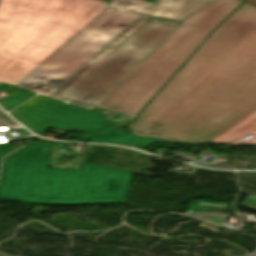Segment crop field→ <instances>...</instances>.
Returning a JSON list of instances; mask_svg holds the SVG:
<instances>
[{"instance_id": "crop-field-16", "label": "crop field", "mask_w": 256, "mask_h": 256, "mask_svg": "<svg viewBox=\"0 0 256 256\" xmlns=\"http://www.w3.org/2000/svg\"><path fill=\"white\" fill-rule=\"evenodd\" d=\"M3 113L1 110H0V114Z\"/></svg>"}, {"instance_id": "crop-field-15", "label": "crop field", "mask_w": 256, "mask_h": 256, "mask_svg": "<svg viewBox=\"0 0 256 256\" xmlns=\"http://www.w3.org/2000/svg\"><path fill=\"white\" fill-rule=\"evenodd\" d=\"M11 150V148L8 146V144H4V145H0V162H1V159L2 157L9 153Z\"/></svg>"}, {"instance_id": "crop-field-11", "label": "crop field", "mask_w": 256, "mask_h": 256, "mask_svg": "<svg viewBox=\"0 0 256 256\" xmlns=\"http://www.w3.org/2000/svg\"><path fill=\"white\" fill-rule=\"evenodd\" d=\"M120 131L121 130L112 127L92 135H85V138L91 142L120 143L131 146H135L142 139L140 136L120 133Z\"/></svg>"}, {"instance_id": "crop-field-7", "label": "crop field", "mask_w": 256, "mask_h": 256, "mask_svg": "<svg viewBox=\"0 0 256 256\" xmlns=\"http://www.w3.org/2000/svg\"><path fill=\"white\" fill-rule=\"evenodd\" d=\"M11 114L39 135L47 126L91 133L111 123L105 115L45 96H36Z\"/></svg>"}, {"instance_id": "crop-field-3", "label": "crop field", "mask_w": 256, "mask_h": 256, "mask_svg": "<svg viewBox=\"0 0 256 256\" xmlns=\"http://www.w3.org/2000/svg\"><path fill=\"white\" fill-rule=\"evenodd\" d=\"M50 148L29 143L5 158L0 199L56 205L127 202L134 173L84 162L80 170L48 168Z\"/></svg>"}, {"instance_id": "crop-field-8", "label": "crop field", "mask_w": 256, "mask_h": 256, "mask_svg": "<svg viewBox=\"0 0 256 256\" xmlns=\"http://www.w3.org/2000/svg\"><path fill=\"white\" fill-rule=\"evenodd\" d=\"M148 17L140 16L133 24L126 28L120 35H118L109 45H107L100 53L92 58L86 65H84L77 73H75L69 80L60 86L50 96L60 99L66 94L77 82H79L88 72L111 54L120 44H122L136 29L141 26Z\"/></svg>"}, {"instance_id": "crop-field-1", "label": "crop field", "mask_w": 256, "mask_h": 256, "mask_svg": "<svg viewBox=\"0 0 256 256\" xmlns=\"http://www.w3.org/2000/svg\"><path fill=\"white\" fill-rule=\"evenodd\" d=\"M255 110L256 8L244 3L129 126L135 135L208 143Z\"/></svg>"}, {"instance_id": "crop-field-2", "label": "crop field", "mask_w": 256, "mask_h": 256, "mask_svg": "<svg viewBox=\"0 0 256 256\" xmlns=\"http://www.w3.org/2000/svg\"><path fill=\"white\" fill-rule=\"evenodd\" d=\"M107 5L99 0H1L0 84L17 85Z\"/></svg>"}, {"instance_id": "crop-field-6", "label": "crop field", "mask_w": 256, "mask_h": 256, "mask_svg": "<svg viewBox=\"0 0 256 256\" xmlns=\"http://www.w3.org/2000/svg\"><path fill=\"white\" fill-rule=\"evenodd\" d=\"M180 24L149 20L88 73L61 100L93 109Z\"/></svg>"}, {"instance_id": "crop-field-12", "label": "crop field", "mask_w": 256, "mask_h": 256, "mask_svg": "<svg viewBox=\"0 0 256 256\" xmlns=\"http://www.w3.org/2000/svg\"><path fill=\"white\" fill-rule=\"evenodd\" d=\"M36 94L35 92L28 91L22 88L17 89L13 93H11L9 96L4 98L3 100L0 101V104L3 106V108L6 111H9L25 101L26 99L30 98Z\"/></svg>"}, {"instance_id": "crop-field-14", "label": "crop field", "mask_w": 256, "mask_h": 256, "mask_svg": "<svg viewBox=\"0 0 256 256\" xmlns=\"http://www.w3.org/2000/svg\"><path fill=\"white\" fill-rule=\"evenodd\" d=\"M0 125L18 126L9 116L3 114L0 115Z\"/></svg>"}, {"instance_id": "crop-field-13", "label": "crop field", "mask_w": 256, "mask_h": 256, "mask_svg": "<svg viewBox=\"0 0 256 256\" xmlns=\"http://www.w3.org/2000/svg\"><path fill=\"white\" fill-rule=\"evenodd\" d=\"M153 141L200 145V143H197V142H189V141H182V140L153 139V138L145 137L137 146L148 148L150 143Z\"/></svg>"}, {"instance_id": "crop-field-9", "label": "crop field", "mask_w": 256, "mask_h": 256, "mask_svg": "<svg viewBox=\"0 0 256 256\" xmlns=\"http://www.w3.org/2000/svg\"><path fill=\"white\" fill-rule=\"evenodd\" d=\"M211 0H158L142 15L180 22Z\"/></svg>"}, {"instance_id": "crop-field-4", "label": "crop field", "mask_w": 256, "mask_h": 256, "mask_svg": "<svg viewBox=\"0 0 256 256\" xmlns=\"http://www.w3.org/2000/svg\"><path fill=\"white\" fill-rule=\"evenodd\" d=\"M243 1L213 0L182 25L103 102L101 107L136 116L179 67Z\"/></svg>"}, {"instance_id": "crop-field-5", "label": "crop field", "mask_w": 256, "mask_h": 256, "mask_svg": "<svg viewBox=\"0 0 256 256\" xmlns=\"http://www.w3.org/2000/svg\"><path fill=\"white\" fill-rule=\"evenodd\" d=\"M108 10L18 87L31 90L38 84L56 89L85 62L103 48L151 3L144 0H111Z\"/></svg>"}, {"instance_id": "crop-field-10", "label": "crop field", "mask_w": 256, "mask_h": 256, "mask_svg": "<svg viewBox=\"0 0 256 256\" xmlns=\"http://www.w3.org/2000/svg\"><path fill=\"white\" fill-rule=\"evenodd\" d=\"M248 134L254 136L239 144H256V111L228 128L209 143L234 144Z\"/></svg>"}]
</instances>
